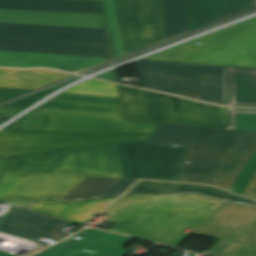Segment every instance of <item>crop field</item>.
Here are the masks:
<instances>
[{"mask_svg":"<svg viewBox=\"0 0 256 256\" xmlns=\"http://www.w3.org/2000/svg\"><path fill=\"white\" fill-rule=\"evenodd\" d=\"M114 199H97L83 202H62L60 200L37 201L28 209L49 214L74 223H87Z\"/></svg>","mask_w":256,"mask_h":256,"instance_id":"obj_18","label":"crop field"},{"mask_svg":"<svg viewBox=\"0 0 256 256\" xmlns=\"http://www.w3.org/2000/svg\"><path fill=\"white\" fill-rule=\"evenodd\" d=\"M227 106L256 107V69L227 67Z\"/></svg>","mask_w":256,"mask_h":256,"instance_id":"obj_20","label":"crop field"},{"mask_svg":"<svg viewBox=\"0 0 256 256\" xmlns=\"http://www.w3.org/2000/svg\"><path fill=\"white\" fill-rule=\"evenodd\" d=\"M143 88L226 106V67L137 61Z\"/></svg>","mask_w":256,"mask_h":256,"instance_id":"obj_6","label":"crop field"},{"mask_svg":"<svg viewBox=\"0 0 256 256\" xmlns=\"http://www.w3.org/2000/svg\"><path fill=\"white\" fill-rule=\"evenodd\" d=\"M125 178L177 181L189 149L127 142L118 144ZM182 171V170H181Z\"/></svg>","mask_w":256,"mask_h":256,"instance_id":"obj_10","label":"crop field"},{"mask_svg":"<svg viewBox=\"0 0 256 256\" xmlns=\"http://www.w3.org/2000/svg\"><path fill=\"white\" fill-rule=\"evenodd\" d=\"M256 171V150L249 158L238 178L230 188V191L243 195L246 187Z\"/></svg>","mask_w":256,"mask_h":256,"instance_id":"obj_31","label":"crop field"},{"mask_svg":"<svg viewBox=\"0 0 256 256\" xmlns=\"http://www.w3.org/2000/svg\"><path fill=\"white\" fill-rule=\"evenodd\" d=\"M114 3L124 54L164 39L161 0H114Z\"/></svg>","mask_w":256,"mask_h":256,"instance_id":"obj_11","label":"crop field"},{"mask_svg":"<svg viewBox=\"0 0 256 256\" xmlns=\"http://www.w3.org/2000/svg\"><path fill=\"white\" fill-rule=\"evenodd\" d=\"M224 201L196 194L131 195L114 202L103 212L110 213V230L176 246L211 216Z\"/></svg>","mask_w":256,"mask_h":256,"instance_id":"obj_1","label":"crop field"},{"mask_svg":"<svg viewBox=\"0 0 256 256\" xmlns=\"http://www.w3.org/2000/svg\"><path fill=\"white\" fill-rule=\"evenodd\" d=\"M178 181L211 184L229 190L256 149V134L198 128Z\"/></svg>","mask_w":256,"mask_h":256,"instance_id":"obj_2","label":"crop field"},{"mask_svg":"<svg viewBox=\"0 0 256 256\" xmlns=\"http://www.w3.org/2000/svg\"><path fill=\"white\" fill-rule=\"evenodd\" d=\"M165 39L189 31L187 0H162Z\"/></svg>","mask_w":256,"mask_h":256,"instance_id":"obj_23","label":"crop field"},{"mask_svg":"<svg viewBox=\"0 0 256 256\" xmlns=\"http://www.w3.org/2000/svg\"><path fill=\"white\" fill-rule=\"evenodd\" d=\"M227 201H233V202H240V203H246V204L256 205V202L251 201V200L246 199V198H243V197H240V196H237V195H234V194H232V195L227 199Z\"/></svg>","mask_w":256,"mask_h":256,"instance_id":"obj_39","label":"crop field"},{"mask_svg":"<svg viewBox=\"0 0 256 256\" xmlns=\"http://www.w3.org/2000/svg\"><path fill=\"white\" fill-rule=\"evenodd\" d=\"M42 110H34L14 123L7 126L8 128H16V129H28L35 130L38 120L40 118Z\"/></svg>","mask_w":256,"mask_h":256,"instance_id":"obj_32","label":"crop field"},{"mask_svg":"<svg viewBox=\"0 0 256 256\" xmlns=\"http://www.w3.org/2000/svg\"><path fill=\"white\" fill-rule=\"evenodd\" d=\"M228 129L256 132V110L228 109Z\"/></svg>","mask_w":256,"mask_h":256,"instance_id":"obj_29","label":"crop field"},{"mask_svg":"<svg viewBox=\"0 0 256 256\" xmlns=\"http://www.w3.org/2000/svg\"><path fill=\"white\" fill-rule=\"evenodd\" d=\"M108 59L110 58L0 51V66L6 67H48L59 69L78 61H82L91 67Z\"/></svg>","mask_w":256,"mask_h":256,"instance_id":"obj_17","label":"crop field"},{"mask_svg":"<svg viewBox=\"0 0 256 256\" xmlns=\"http://www.w3.org/2000/svg\"><path fill=\"white\" fill-rule=\"evenodd\" d=\"M0 50L112 57L98 28L0 23Z\"/></svg>","mask_w":256,"mask_h":256,"instance_id":"obj_4","label":"crop field"},{"mask_svg":"<svg viewBox=\"0 0 256 256\" xmlns=\"http://www.w3.org/2000/svg\"><path fill=\"white\" fill-rule=\"evenodd\" d=\"M138 192L151 194L194 192L223 200H226L231 195V193L205 185L160 181H140L127 194Z\"/></svg>","mask_w":256,"mask_h":256,"instance_id":"obj_22","label":"crop field"},{"mask_svg":"<svg viewBox=\"0 0 256 256\" xmlns=\"http://www.w3.org/2000/svg\"><path fill=\"white\" fill-rule=\"evenodd\" d=\"M70 76L50 70L0 69V87L36 90Z\"/></svg>","mask_w":256,"mask_h":256,"instance_id":"obj_21","label":"crop field"},{"mask_svg":"<svg viewBox=\"0 0 256 256\" xmlns=\"http://www.w3.org/2000/svg\"><path fill=\"white\" fill-rule=\"evenodd\" d=\"M29 92L32 91L0 88V103Z\"/></svg>","mask_w":256,"mask_h":256,"instance_id":"obj_35","label":"crop field"},{"mask_svg":"<svg viewBox=\"0 0 256 256\" xmlns=\"http://www.w3.org/2000/svg\"><path fill=\"white\" fill-rule=\"evenodd\" d=\"M87 174L53 172L52 174L5 171L0 178V201L10 197L24 199H62Z\"/></svg>","mask_w":256,"mask_h":256,"instance_id":"obj_12","label":"crop field"},{"mask_svg":"<svg viewBox=\"0 0 256 256\" xmlns=\"http://www.w3.org/2000/svg\"><path fill=\"white\" fill-rule=\"evenodd\" d=\"M62 152L15 158L7 170L52 173Z\"/></svg>","mask_w":256,"mask_h":256,"instance_id":"obj_25","label":"crop field"},{"mask_svg":"<svg viewBox=\"0 0 256 256\" xmlns=\"http://www.w3.org/2000/svg\"><path fill=\"white\" fill-rule=\"evenodd\" d=\"M0 22L106 28L103 15L0 10Z\"/></svg>","mask_w":256,"mask_h":256,"instance_id":"obj_15","label":"crop field"},{"mask_svg":"<svg viewBox=\"0 0 256 256\" xmlns=\"http://www.w3.org/2000/svg\"><path fill=\"white\" fill-rule=\"evenodd\" d=\"M244 196H247L249 198L256 200V173L253 179L251 180L248 188L246 189Z\"/></svg>","mask_w":256,"mask_h":256,"instance_id":"obj_37","label":"crop field"},{"mask_svg":"<svg viewBox=\"0 0 256 256\" xmlns=\"http://www.w3.org/2000/svg\"><path fill=\"white\" fill-rule=\"evenodd\" d=\"M197 128L160 124L148 143L185 147Z\"/></svg>","mask_w":256,"mask_h":256,"instance_id":"obj_26","label":"crop field"},{"mask_svg":"<svg viewBox=\"0 0 256 256\" xmlns=\"http://www.w3.org/2000/svg\"><path fill=\"white\" fill-rule=\"evenodd\" d=\"M255 0H188L190 31L253 8Z\"/></svg>","mask_w":256,"mask_h":256,"instance_id":"obj_16","label":"crop field"},{"mask_svg":"<svg viewBox=\"0 0 256 256\" xmlns=\"http://www.w3.org/2000/svg\"><path fill=\"white\" fill-rule=\"evenodd\" d=\"M144 59L256 68V17Z\"/></svg>","mask_w":256,"mask_h":256,"instance_id":"obj_5","label":"crop field"},{"mask_svg":"<svg viewBox=\"0 0 256 256\" xmlns=\"http://www.w3.org/2000/svg\"><path fill=\"white\" fill-rule=\"evenodd\" d=\"M105 12L107 16L110 38L113 46L115 56L122 55V46L120 41V35L118 30V24L116 19V13L113 0H103Z\"/></svg>","mask_w":256,"mask_h":256,"instance_id":"obj_30","label":"crop field"},{"mask_svg":"<svg viewBox=\"0 0 256 256\" xmlns=\"http://www.w3.org/2000/svg\"><path fill=\"white\" fill-rule=\"evenodd\" d=\"M43 109L36 130L154 133L159 124L126 121L122 98L62 93Z\"/></svg>","mask_w":256,"mask_h":256,"instance_id":"obj_3","label":"crop field"},{"mask_svg":"<svg viewBox=\"0 0 256 256\" xmlns=\"http://www.w3.org/2000/svg\"><path fill=\"white\" fill-rule=\"evenodd\" d=\"M95 78L106 79V80H111V81L118 82L115 70L103 73V74H101V75H99Z\"/></svg>","mask_w":256,"mask_h":256,"instance_id":"obj_41","label":"crop field"},{"mask_svg":"<svg viewBox=\"0 0 256 256\" xmlns=\"http://www.w3.org/2000/svg\"><path fill=\"white\" fill-rule=\"evenodd\" d=\"M152 134L117 132L0 131V157H20L127 141L147 143Z\"/></svg>","mask_w":256,"mask_h":256,"instance_id":"obj_8","label":"crop field"},{"mask_svg":"<svg viewBox=\"0 0 256 256\" xmlns=\"http://www.w3.org/2000/svg\"><path fill=\"white\" fill-rule=\"evenodd\" d=\"M6 202L22 206V207H27L30 203H32V200H24V199H18V198H11L7 200Z\"/></svg>","mask_w":256,"mask_h":256,"instance_id":"obj_40","label":"crop field"},{"mask_svg":"<svg viewBox=\"0 0 256 256\" xmlns=\"http://www.w3.org/2000/svg\"><path fill=\"white\" fill-rule=\"evenodd\" d=\"M55 171L124 178L117 144L64 152Z\"/></svg>","mask_w":256,"mask_h":256,"instance_id":"obj_13","label":"crop field"},{"mask_svg":"<svg viewBox=\"0 0 256 256\" xmlns=\"http://www.w3.org/2000/svg\"><path fill=\"white\" fill-rule=\"evenodd\" d=\"M0 9L103 14L100 1L91 0H0Z\"/></svg>","mask_w":256,"mask_h":256,"instance_id":"obj_19","label":"crop field"},{"mask_svg":"<svg viewBox=\"0 0 256 256\" xmlns=\"http://www.w3.org/2000/svg\"><path fill=\"white\" fill-rule=\"evenodd\" d=\"M52 92L49 91H43L37 94H33L30 96H27L25 98H22L20 100L14 101L10 104H8L9 106H15V107H23V108H28L31 105L35 104L36 102H38L39 100L43 99L44 97H46L47 95H49Z\"/></svg>","mask_w":256,"mask_h":256,"instance_id":"obj_33","label":"crop field"},{"mask_svg":"<svg viewBox=\"0 0 256 256\" xmlns=\"http://www.w3.org/2000/svg\"><path fill=\"white\" fill-rule=\"evenodd\" d=\"M192 233L220 239L208 255L256 256V206L224 202Z\"/></svg>","mask_w":256,"mask_h":256,"instance_id":"obj_9","label":"crop field"},{"mask_svg":"<svg viewBox=\"0 0 256 256\" xmlns=\"http://www.w3.org/2000/svg\"><path fill=\"white\" fill-rule=\"evenodd\" d=\"M122 87L128 119L227 129V109Z\"/></svg>","mask_w":256,"mask_h":256,"instance_id":"obj_7","label":"crop field"},{"mask_svg":"<svg viewBox=\"0 0 256 256\" xmlns=\"http://www.w3.org/2000/svg\"><path fill=\"white\" fill-rule=\"evenodd\" d=\"M65 92L122 97L118 84L89 79Z\"/></svg>","mask_w":256,"mask_h":256,"instance_id":"obj_27","label":"crop field"},{"mask_svg":"<svg viewBox=\"0 0 256 256\" xmlns=\"http://www.w3.org/2000/svg\"><path fill=\"white\" fill-rule=\"evenodd\" d=\"M137 180L131 179H121L117 184H115L107 193L102 197H111L116 195H122L132 184Z\"/></svg>","mask_w":256,"mask_h":256,"instance_id":"obj_34","label":"crop field"},{"mask_svg":"<svg viewBox=\"0 0 256 256\" xmlns=\"http://www.w3.org/2000/svg\"><path fill=\"white\" fill-rule=\"evenodd\" d=\"M23 110H25V109L1 106L0 107V122L3 119H7V118H11V117L15 116L16 114L22 112Z\"/></svg>","mask_w":256,"mask_h":256,"instance_id":"obj_36","label":"crop field"},{"mask_svg":"<svg viewBox=\"0 0 256 256\" xmlns=\"http://www.w3.org/2000/svg\"><path fill=\"white\" fill-rule=\"evenodd\" d=\"M34 256H124L108 252L97 251L84 247L59 243Z\"/></svg>","mask_w":256,"mask_h":256,"instance_id":"obj_28","label":"crop field"},{"mask_svg":"<svg viewBox=\"0 0 256 256\" xmlns=\"http://www.w3.org/2000/svg\"><path fill=\"white\" fill-rule=\"evenodd\" d=\"M120 179L87 176L63 200L101 197Z\"/></svg>","mask_w":256,"mask_h":256,"instance_id":"obj_24","label":"crop field"},{"mask_svg":"<svg viewBox=\"0 0 256 256\" xmlns=\"http://www.w3.org/2000/svg\"><path fill=\"white\" fill-rule=\"evenodd\" d=\"M86 68H89V67H87L83 63L79 62V63L73 64V65L61 68L59 70L68 71V72H76V71H80V70H83V69H86Z\"/></svg>","mask_w":256,"mask_h":256,"instance_id":"obj_38","label":"crop field"},{"mask_svg":"<svg viewBox=\"0 0 256 256\" xmlns=\"http://www.w3.org/2000/svg\"><path fill=\"white\" fill-rule=\"evenodd\" d=\"M13 158H0V177L8 167V165L11 163Z\"/></svg>","mask_w":256,"mask_h":256,"instance_id":"obj_42","label":"crop field"},{"mask_svg":"<svg viewBox=\"0 0 256 256\" xmlns=\"http://www.w3.org/2000/svg\"><path fill=\"white\" fill-rule=\"evenodd\" d=\"M255 7H256V4H255Z\"/></svg>","mask_w":256,"mask_h":256,"instance_id":"obj_43","label":"crop field"},{"mask_svg":"<svg viewBox=\"0 0 256 256\" xmlns=\"http://www.w3.org/2000/svg\"><path fill=\"white\" fill-rule=\"evenodd\" d=\"M70 222L12 206L0 221V232L33 241L38 236L62 239L60 230Z\"/></svg>","mask_w":256,"mask_h":256,"instance_id":"obj_14","label":"crop field"}]
</instances>
